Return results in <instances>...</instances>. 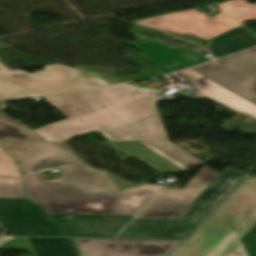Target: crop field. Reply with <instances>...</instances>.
I'll return each instance as SVG.
<instances>
[{"label":"crop field","instance_id":"crop-field-1","mask_svg":"<svg viewBox=\"0 0 256 256\" xmlns=\"http://www.w3.org/2000/svg\"><path fill=\"white\" fill-rule=\"evenodd\" d=\"M158 91L130 84L43 97L68 119L34 130L63 141L99 128L124 140H169L153 97Z\"/></svg>","mask_w":256,"mask_h":256},{"label":"crop field","instance_id":"crop-field-2","mask_svg":"<svg viewBox=\"0 0 256 256\" xmlns=\"http://www.w3.org/2000/svg\"><path fill=\"white\" fill-rule=\"evenodd\" d=\"M0 146L23 176L59 169L62 179L23 178L28 198L96 199L118 191L103 172L94 173L64 142H0Z\"/></svg>","mask_w":256,"mask_h":256},{"label":"crop field","instance_id":"crop-field-3","mask_svg":"<svg viewBox=\"0 0 256 256\" xmlns=\"http://www.w3.org/2000/svg\"><path fill=\"white\" fill-rule=\"evenodd\" d=\"M169 256H256V178L244 180Z\"/></svg>","mask_w":256,"mask_h":256},{"label":"crop field","instance_id":"crop-field-4","mask_svg":"<svg viewBox=\"0 0 256 256\" xmlns=\"http://www.w3.org/2000/svg\"><path fill=\"white\" fill-rule=\"evenodd\" d=\"M244 175L226 168L176 220L133 219L116 238L181 239Z\"/></svg>","mask_w":256,"mask_h":256},{"label":"crop field","instance_id":"crop-field-5","mask_svg":"<svg viewBox=\"0 0 256 256\" xmlns=\"http://www.w3.org/2000/svg\"><path fill=\"white\" fill-rule=\"evenodd\" d=\"M44 68L29 74L21 70L9 71L0 64V101L108 85L97 77L82 79L75 68L62 65Z\"/></svg>","mask_w":256,"mask_h":256},{"label":"crop field","instance_id":"crop-field-6","mask_svg":"<svg viewBox=\"0 0 256 256\" xmlns=\"http://www.w3.org/2000/svg\"><path fill=\"white\" fill-rule=\"evenodd\" d=\"M218 8L220 13L216 17L189 10L150 18L139 24L180 34L192 33L207 40L241 25L244 21L256 20V4L251 6L245 0L223 3Z\"/></svg>","mask_w":256,"mask_h":256},{"label":"crop field","instance_id":"crop-field-7","mask_svg":"<svg viewBox=\"0 0 256 256\" xmlns=\"http://www.w3.org/2000/svg\"><path fill=\"white\" fill-rule=\"evenodd\" d=\"M163 186L145 184L96 200L29 199L47 214H136Z\"/></svg>","mask_w":256,"mask_h":256},{"label":"crop field","instance_id":"crop-field-8","mask_svg":"<svg viewBox=\"0 0 256 256\" xmlns=\"http://www.w3.org/2000/svg\"><path fill=\"white\" fill-rule=\"evenodd\" d=\"M192 68L256 103V48Z\"/></svg>","mask_w":256,"mask_h":256},{"label":"crop field","instance_id":"crop-field-9","mask_svg":"<svg viewBox=\"0 0 256 256\" xmlns=\"http://www.w3.org/2000/svg\"><path fill=\"white\" fill-rule=\"evenodd\" d=\"M218 175L204 166L183 189H163L135 218H177Z\"/></svg>","mask_w":256,"mask_h":256},{"label":"crop field","instance_id":"crop-field-10","mask_svg":"<svg viewBox=\"0 0 256 256\" xmlns=\"http://www.w3.org/2000/svg\"><path fill=\"white\" fill-rule=\"evenodd\" d=\"M80 256H166L179 242L73 239Z\"/></svg>","mask_w":256,"mask_h":256},{"label":"crop field","instance_id":"crop-field-11","mask_svg":"<svg viewBox=\"0 0 256 256\" xmlns=\"http://www.w3.org/2000/svg\"><path fill=\"white\" fill-rule=\"evenodd\" d=\"M66 236L113 238L134 215H49Z\"/></svg>","mask_w":256,"mask_h":256},{"label":"crop field","instance_id":"crop-field-12","mask_svg":"<svg viewBox=\"0 0 256 256\" xmlns=\"http://www.w3.org/2000/svg\"><path fill=\"white\" fill-rule=\"evenodd\" d=\"M149 57L156 67L172 73L208 61L206 57L182 48L170 49L157 41L142 39L128 44Z\"/></svg>","mask_w":256,"mask_h":256},{"label":"crop field","instance_id":"crop-field-13","mask_svg":"<svg viewBox=\"0 0 256 256\" xmlns=\"http://www.w3.org/2000/svg\"><path fill=\"white\" fill-rule=\"evenodd\" d=\"M180 73L188 77L189 81L196 85L194 89L198 93L214 101L220 102L236 111L246 113L256 119V104L231 92L191 69Z\"/></svg>","mask_w":256,"mask_h":256},{"label":"crop field","instance_id":"crop-field-14","mask_svg":"<svg viewBox=\"0 0 256 256\" xmlns=\"http://www.w3.org/2000/svg\"><path fill=\"white\" fill-rule=\"evenodd\" d=\"M0 249L26 250L31 256H77L69 239L19 238Z\"/></svg>","mask_w":256,"mask_h":256},{"label":"crop field","instance_id":"crop-field-15","mask_svg":"<svg viewBox=\"0 0 256 256\" xmlns=\"http://www.w3.org/2000/svg\"><path fill=\"white\" fill-rule=\"evenodd\" d=\"M256 45V34L242 26L208 40L206 49L215 57Z\"/></svg>","mask_w":256,"mask_h":256},{"label":"crop field","instance_id":"crop-field-16","mask_svg":"<svg viewBox=\"0 0 256 256\" xmlns=\"http://www.w3.org/2000/svg\"><path fill=\"white\" fill-rule=\"evenodd\" d=\"M0 225L12 234L64 236L50 218L0 217Z\"/></svg>","mask_w":256,"mask_h":256},{"label":"crop field","instance_id":"crop-field-17","mask_svg":"<svg viewBox=\"0 0 256 256\" xmlns=\"http://www.w3.org/2000/svg\"><path fill=\"white\" fill-rule=\"evenodd\" d=\"M110 142L111 145H113L126 155H133L161 172L178 173L182 171L179 167L169 162L165 158L161 157L160 155L156 154L152 150L148 149L139 141Z\"/></svg>","mask_w":256,"mask_h":256},{"label":"crop field","instance_id":"crop-field-18","mask_svg":"<svg viewBox=\"0 0 256 256\" xmlns=\"http://www.w3.org/2000/svg\"><path fill=\"white\" fill-rule=\"evenodd\" d=\"M148 148L157 152L169 161L173 162L181 169H186L196 165L204 164L199 159L187 153L170 141H140Z\"/></svg>","mask_w":256,"mask_h":256},{"label":"crop field","instance_id":"crop-field-19","mask_svg":"<svg viewBox=\"0 0 256 256\" xmlns=\"http://www.w3.org/2000/svg\"><path fill=\"white\" fill-rule=\"evenodd\" d=\"M0 141H44V139L0 111Z\"/></svg>","mask_w":256,"mask_h":256},{"label":"crop field","instance_id":"crop-field-20","mask_svg":"<svg viewBox=\"0 0 256 256\" xmlns=\"http://www.w3.org/2000/svg\"><path fill=\"white\" fill-rule=\"evenodd\" d=\"M0 216L47 217L40 206L26 199H0Z\"/></svg>","mask_w":256,"mask_h":256},{"label":"crop field","instance_id":"crop-field-21","mask_svg":"<svg viewBox=\"0 0 256 256\" xmlns=\"http://www.w3.org/2000/svg\"><path fill=\"white\" fill-rule=\"evenodd\" d=\"M0 198H26L21 178H0Z\"/></svg>","mask_w":256,"mask_h":256},{"label":"crop field","instance_id":"crop-field-22","mask_svg":"<svg viewBox=\"0 0 256 256\" xmlns=\"http://www.w3.org/2000/svg\"><path fill=\"white\" fill-rule=\"evenodd\" d=\"M0 176H20L13 161L0 149Z\"/></svg>","mask_w":256,"mask_h":256},{"label":"crop field","instance_id":"crop-field-23","mask_svg":"<svg viewBox=\"0 0 256 256\" xmlns=\"http://www.w3.org/2000/svg\"><path fill=\"white\" fill-rule=\"evenodd\" d=\"M94 172H100V170H97V169H94V168H91ZM112 181L113 183L116 185V187L119 189V191L121 190H125V189H128V188H132V187H136L130 183H127L119 178H116L106 172H104Z\"/></svg>","mask_w":256,"mask_h":256},{"label":"crop field","instance_id":"crop-field-24","mask_svg":"<svg viewBox=\"0 0 256 256\" xmlns=\"http://www.w3.org/2000/svg\"><path fill=\"white\" fill-rule=\"evenodd\" d=\"M97 132L103 134L108 140H118V141H124L122 138L112 134L110 131H105V130H97ZM102 135V136H103Z\"/></svg>","mask_w":256,"mask_h":256},{"label":"crop field","instance_id":"crop-field-25","mask_svg":"<svg viewBox=\"0 0 256 256\" xmlns=\"http://www.w3.org/2000/svg\"><path fill=\"white\" fill-rule=\"evenodd\" d=\"M11 47L12 46L9 45V44H5V43L0 42V49L11 48Z\"/></svg>","mask_w":256,"mask_h":256},{"label":"crop field","instance_id":"crop-field-26","mask_svg":"<svg viewBox=\"0 0 256 256\" xmlns=\"http://www.w3.org/2000/svg\"><path fill=\"white\" fill-rule=\"evenodd\" d=\"M9 238H11V237H0V245L2 243H4L5 241H7Z\"/></svg>","mask_w":256,"mask_h":256}]
</instances>
